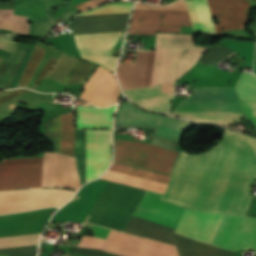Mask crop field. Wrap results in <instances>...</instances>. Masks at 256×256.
I'll list each match as a JSON object with an SVG mask.
<instances>
[{
    "mask_svg": "<svg viewBox=\"0 0 256 256\" xmlns=\"http://www.w3.org/2000/svg\"><path fill=\"white\" fill-rule=\"evenodd\" d=\"M256 179V139L226 129L200 152L182 151L163 201L190 209L246 215ZM246 216L256 217V197Z\"/></svg>",
    "mask_w": 256,
    "mask_h": 256,
    "instance_id": "crop-field-1",
    "label": "crop field"
},
{
    "mask_svg": "<svg viewBox=\"0 0 256 256\" xmlns=\"http://www.w3.org/2000/svg\"><path fill=\"white\" fill-rule=\"evenodd\" d=\"M175 233L231 251L256 250V218L186 209ZM179 256H233L231 251L178 234Z\"/></svg>",
    "mask_w": 256,
    "mask_h": 256,
    "instance_id": "crop-field-2",
    "label": "crop field"
},
{
    "mask_svg": "<svg viewBox=\"0 0 256 256\" xmlns=\"http://www.w3.org/2000/svg\"><path fill=\"white\" fill-rule=\"evenodd\" d=\"M117 124H148L157 126L158 132L180 136L183 131L192 125L188 121L176 118L143 112L134 107L130 102H122L116 116ZM155 132L154 135L176 139L179 137ZM116 141L115 161L126 164L141 166L164 173H170L177 152L148 145L136 141Z\"/></svg>",
    "mask_w": 256,
    "mask_h": 256,
    "instance_id": "crop-field-3",
    "label": "crop field"
},
{
    "mask_svg": "<svg viewBox=\"0 0 256 256\" xmlns=\"http://www.w3.org/2000/svg\"><path fill=\"white\" fill-rule=\"evenodd\" d=\"M128 16L129 14L76 17L74 34L123 31V35ZM120 35L121 32L81 34L75 35V41L83 59L94 61L114 71L117 57L109 55Z\"/></svg>",
    "mask_w": 256,
    "mask_h": 256,
    "instance_id": "crop-field-4",
    "label": "crop field"
},
{
    "mask_svg": "<svg viewBox=\"0 0 256 256\" xmlns=\"http://www.w3.org/2000/svg\"><path fill=\"white\" fill-rule=\"evenodd\" d=\"M162 196L147 190L134 215L176 228L185 209L161 201ZM135 216L132 217L125 232L174 245V228Z\"/></svg>",
    "mask_w": 256,
    "mask_h": 256,
    "instance_id": "crop-field-5",
    "label": "crop field"
},
{
    "mask_svg": "<svg viewBox=\"0 0 256 256\" xmlns=\"http://www.w3.org/2000/svg\"><path fill=\"white\" fill-rule=\"evenodd\" d=\"M182 102L216 103L241 105V99L234 88H195L194 97ZM179 103L172 111L243 113L242 106ZM172 112L196 121L220 125L236 123L242 114Z\"/></svg>",
    "mask_w": 256,
    "mask_h": 256,
    "instance_id": "crop-field-6",
    "label": "crop field"
},
{
    "mask_svg": "<svg viewBox=\"0 0 256 256\" xmlns=\"http://www.w3.org/2000/svg\"><path fill=\"white\" fill-rule=\"evenodd\" d=\"M195 33L221 34L223 30L244 29L250 4L247 0H185Z\"/></svg>",
    "mask_w": 256,
    "mask_h": 256,
    "instance_id": "crop-field-7",
    "label": "crop field"
},
{
    "mask_svg": "<svg viewBox=\"0 0 256 256\" xmlns=\"http://www.w3.org/2000/svg\"><path fill=\"white\" fill-rule=\"evenodd\" d=\"M171 36L168 34H158L152 85L166 82ZM207 49L194 47L192 36L173 35L167 82L176 81L184 75Z\"/></svg>",
    "mask_w": 256,
    "mask_h": 256,
    "instance_id": "crop-field-8",
    "label": "crop field"
},
{
    "mask_svg": "<svg viewBox=\"0 0 256 256\" xmlns=\"http://www.w3.org/2000/svg\"><path fill=\"white\" fill-rule=\"evenodd\" d=\"M144 192V189L111 182L88 223L123 231Z\"/></svg>",
    "mask_w": 256,
    "mask_h": 256,
    "instance_id": "crop-field-9",
    "label": "crop field"
},
{
    "mask_svg": "<svg viewBox=\"0 0 256 256\" xmlns=\"http://www.w3.org/2000/svg\"><path fill=\"white\" fill-rule=\"evenodd\" d=\"M75 154L82 181L86 183V156L87 182L98 178L110 165L111 159V130H76Z\"/></svg>",
    "mask_w": 256,
    "mask_h": 256,
    "instance_id": "crop-field-10",
    "label": "crop field"
},
{
    "mask_svg": "<svg viewBox=\"0 0 256 256\" xmlns=\"http://www.w3.org/2000/svg\"><path fill=\"white\" fill-rule=\"evenodd\" d=\"M76 191L59 189L29 188L0 192V214L45 208L60 207Z\"/></svg>",
    "mask_w": 256,
    "mask_h": 256,
    "instance_id": "crop-field-11",
    "label": "crop field"
},
{
    "mask_svg": "<svg viewBox=\"0 0 256 256\" xmlns=\"http://www.w3.org/2000/svg\"><path fill=\"white\" fill-rule=\"evenodd\" d=\"M101 250L123 256H178L174 246L113 230Z\"/></svg>",
    "mask_w": 256,
    "mask_h": 256,
    "instance_id": "crop-field-12",
    "label": "crop field"
},
{
    "mask_svg": "<svg viewBox=\"0 0 256 256\" xmlns=\"http://www.w3.org/2000/svg\"><path fill=\"white\" fill-rule=\"evenodd\" d=\"M43 158H22L0 163V190L41 187Z\"/></svg>",
    "mask_w": 256,
    "mask_h": 256,
    "instance_id": "crop-field-13",
    "label": "crop field"
},
{
    "mask_svg": "<svg viewBox=\"0 0 256 256\" xmlns=\"http://www.w3.org/2000/svg\"><path fill=\"white\" fill-rule=\"evenodd\" d=\"M132 25L192 26L187 11L134 10ZM130 26L129 34L180 32L181 27Z\"/></svg>",
    "mask_w": 256,
    "mask_h": 256,
    "instance_id": "crop-field-14",
    "label": "crop field"
},
{
    "mask_svg": "<svg viewBox=\"0 0 256 256\" xmlns=\"http://www.w3.org/2000/svg\"><path fill=\"white\" fill-rule=\"evenodd\" d=\"M154 53L137 51L134 63H119L117 76L124 89L151 85Z\"/></svg>",
    "mask_w": 256,
    "mask_h": 256,
    "instance_id": "crop-field-15",
    "label": "crop field"
},
{
    "mask_svg": "<svg viewBox=\"0 0 256 256\" xmlns=\"http://www.w3.org/2000/svg\"><path fill=\"white\" fill-rule=\"evenodd\" d=\"M62 153L74 156L73 111L60 115ZM59 115L45 123V136L57 152L61 153Z\"/></svg>",
    "mask_w": 256,
    "mask_h": 256,
    "instance_id": "crop-field-16",
    "label": "crop field"
},
{
    "mask_svg": "<svg viewBox=\"0 0 256 256\" xmlns=\"http://www.w3.org/2000/svg\"><path fill=\"white\" fill-rule=\"evenodd\" d=\"M175 82L163 83L156 86H149L129 90L137 100L174 91ZM127 90H123L126 97L136 102L145 109L156 111H167L173 92L136 101L135 97Z\"/></svg>",
    "mask_w": 256,
    "mask_h": 256,
    "instance_id": "crop-field-17",
    "label": "crop field"
},
{
    "mask_svg": "<svg viewBox=\"0 0 256 256\" xmlns=\"http://www.w3.org/2000/svg\"><path fill=\"white\" fill-rule=\"evenodd\" d=\"M115 106L109 108L78 107L77 128H111Z\"/></svg>",
    "mask_w": 256,
    "mask_h": 256,
    "instance_id": "crop-field-18",
    "label": "crop field"
},
{
    "mask_svg": "<svg viewBox=\"0 0 256 256\" xmlns=\"http://www.w3.org/2000/svg\"><path fill=\"white\" fill-rule=\"evenodd\" d=\"M235 89L242 98L246 116L256 129V76L243 72Z\"/></svg>",
    "mask_w": 256,
    "mask_h": 256,
    "instance_id": "crop-field-19",
    "label": "crop field"
},
{
    "mask_svg": "<svg viewBox=\"0 0 256 256\" xmlns=\"http://www.w3.org/2000/svg\"><path fill=\"white\" fill-rule=\"evenodd\" d=\"M59 162V153H45L43 187L58 186Z\"/></svg>",
    "mask_w": 256,
    "mask_h": 256,
    "instance_id": "crop-field-20",
    "label": "crop field"
},
{
    "mask_svg": "<svg viewBox=\"0 0 256 256\" xmlns=\"http://www.w3.org/2000/svg\"><path fill=\"white\" fill-rule=\"evenodd\" d=\"M220 43L222 45H224L225 47L229 48L230 50L234 51L235 53L243 56L245 59L246 65L252 67L253 52H254V45H255L254 43L233 41V40H229V39H224ZM235 53H231L229 56H231ZM229 56H227V57H229Z\"/></svg>",
    "mask_w": 256,
    "mask_h": 256,
    "instance_id": "crop-field-21",
    "label": "crop field"
},
{
    "mask_svg": "<svg viewBox=\"0 0 256 256\" xmlns=\"http://www.w3.org/2000/svg\"><path fill=\"white\" fill-rule=\"evenodd\" d=\"M110 170L130 174V175H134V176H138V177H142V178H146V179H150V180H154V181H158L166 184L168 183V180L170 178L169 176L141 170L138 168H134V167H130V166L114 163V162L112 163Z\"/></svg>",
    "mask_w": 256,
    "mask_h": 256,
    "instance_id": "crop-field-22",
    "label": "crop field"
},
{
    "mask_svg": "<svg viewBox=\"0 0 256 256\" xmlns=\"http://www.w3.org/2000/svg\"><path fill=\"white\" fill-rule=\"evenodd\" d=\"M96 65L79 60L75 67L64 79L63 83L69 85L75 82H85L91 72L95 69Z\"/></svg>",
    "mask_w": 256,
    "mask_h": 256,
    "instance_id": "crop-field-23",
    "label": "crop field"
},
{
    "mask_svg": "<svg viewBox=\"0 0 256 256\" xmlns=\"http://www.w3.org/2000/svg\"><path fill=\"white\" fill-rule=\"evenodd\" d=\"M39 234L0 238V249L38 244Z\"/></svg>",
    "mask_w": 256,
    "mask_h": 256,
    "instance_id": "crop-field-24",
    "label": "crop field"
},
{
    "mask_svg": "<svg viewBox=\"0 0 256 256\" xmlns=\"http://www.w3.org/2000/svg\"><path fill=\"white\" fill-rule=\"evenodd\" d=\"M45 51L35 46L18 85H27Z\"/></svg>",
    "mask_w": 256,
    "mask_h": 256,
    "instance_id": "crop-field-25",
    "label": "crop field"
},
{
    "mask_svg": "<svg viewBox=\"0 0 256 256\" xmlns=\"http://www.w3.org/2000/svg\"><path fill=\"white\" fill-rule=\"evenodd\" d=\"M133 3L124 4H106L91 11L81 12L78 15H92V14H111V13H129ZM77 15V16H78Z\"/></svg>",
    "mask_w": 256,
    "mask_h": 256,
    "instance_id": "crop-field-26",
    "label": "crop field"
},
{
    "mask_svg": "<svg viewBox=\"0 0 256 256\" xmlns=\"http://www.w3.org/2000/svg\"><path fill=\"white\" fill-rule=\"evenodd\" d=\"M37 247L38 245L3 249L0 250V256H36Z\"/></svg>",
    "mask_w": 256,
    "mask_h": 256,
    "instance_id": "crop-field-27",
    "label": "crop field"
},
{
    "mask_svg": "<svg viewBox=\"0 0 256 256\" xmlns=\"http://www.w3.org/2000/svg\"><path fill=\"white\" fill-rule=\"evenodd\" d=\"M135 9H172V10H187L185 1L180 0L168 6H151L147 4L137 3Z\"/></svg>",
    "mask_w": 256,
    "mask_h": 256,
    "instance_id": "crop-field-28",
    "label": "crop field"
},
{
    "mask_svg": "<svg viewBox=\"0 0 256 256\" xmlns=\"http://www.w3.org/2000/svg\"><path fill=\"white\" fill-rule=\"evenodd\" d=\"M25 16L14 15V29L13 32L28 34L29 24L26 23Z\"/></svg>",
    "mask_w": 256,
    "mask_h": 256,
    "instance_id": "crop-field-29",
    "label": "crop field"
},
{
    "mask_svg": "<svg viewBox=\"0 0 256 256\" xmlns=\"http://www.w3.org/2000/svg\"><path fill=\"white\" fill-rule=\"evenodd\" d=\"M72 253L92 255V256H104V254H105V252H103V251L94 250V249H86V248H78V247H74Z\"/></svg>",
    "mask_w": 256,
    "mask_h": 256,
    "instance_id": "crop-field-30",
    "label": "crop field"
},
{
    "mask_svg": "<svg viewBox=\"0 0 256 256\" xmlns=\"http://www.w3.org/2000/svg\"><path fill=\"white\" fill-rule=\"evenodd\" d=\"M16 45H17V42H13V41H10L3 37H0V48L1 49H4L6 51L13 53Z\"/></svg>",
    "mask_w": 256,
    "mask_h": 256,
    "instance_id": "crop-field-31",
    "label": "crop field"
},
{
    "mask_svg": "<svg viewBox=\"0 0 256 256\" xmlns=\"http://www.w3.org/2000/svg\"><path fill=\"white\" fill-rule=\"evenodd\" d=\"M107 1H110V0H89V1H86V2H83L81 4L76 5V7L78 9H80L81 11H83L85 9L95 7L99 4L107 2Z\"/></svg>",
    "mask_w": 256,
    "mask_h": 256,
    "instance_id": "crop-field-32",
    "label": "crop field"
},
{
    "mask_svg": "<svg viewBox=\"0 0 256 256\" xmlns=\"http://www.w3.org/2000/svg\"><path fill=\"white\" fill-rule=\"evenodd\" d=\"M109 232H110V229L94 226L93 236L106 239Z\"/></svg>",
    "mask_w": 256,
    "mask_h": 256,
    "instance_id": "crop-field-33",
    "label": "crop field"
},
{
    "mask_svg": "<svg viewBox=\"0 0 256 256\" xmlns=\"http://www.w3.org/2000/svg\"><path fill=\"white\" fill-rule=\"evenodd\" d=\"M55 62V59L51 58L49 59V61L47 62V64L44 66V68L42 69V71L40 72L35 85H38V83L40 82V80L43 78V76L47 73V71L52 67L53 63Z\"/></svg>",
    "mask_w": 256,
    "mask_h": 256,
    "instance_id": "crop-field-34",
    "label": "crop field"
},
{
    "mask_svg": "<svg viewBox=\"0 0 256 256\" xmlns=\"http://www.w3.org/2000/svg\"><path fill=\"white\" fill-rule=\"evenodd\" d=\"M27 90L28 89H20V90L14 92V93H12L8 96L5 95L6 97H3V98L0 99V104L9 100V99H11V98H13V97H15V96H17V95H19V94H21V93H23V92H25V91H27Z\"/></svg>",
    "mask_w": 256,
    "mask_h": 256,
    "instance_id": "crop-field-35",
    "label": "crop field"
},
{
    "mask_svg": "<svg viewBox=\"0 0 256 256\" xmlns=\"http://www.w3.org/2000/svg\"><path fill=\"white\" fill-rule=\"evenodd\" d=\"M251 30H252V31L254 32V34L256 35V21H255L253 27L251 28Z\"/></svg>",
    "mask_w": 256,
    "mask_h": 256,
    "instance_id": "crop-field-36",
    "label": "crop field"
},
{
    "mask_svg": "<svg viewBox=\"0 0 256 256\" xmlns=\"http://www.w3.org/2000/svg\"><path fill=\"white\" fill-rule=\"evenodd\" d=\"M105 256H118V255H114V254H111V253H107V252H106Z\"/></svg>",
    "mask_w": 256,
    "mask_h": 256,
    "instance_id": "crop-field-37",
    "label": "crop field"
},
{
    "mask_svg": "<svg viewBox=\"0 0 256 256\" xmlns=\"http://www.w3.org/2000/svg\"><path fill=\"white\" fill-rule=\"evenodd\" d=\"M254 74H256V56H255Z\"/></svg>",
    "mask_w": 256,
    "mask_h": 256,
    "instance_id": "crop-field-38",
    "label": "crop field"
},
{
    "mask_svg": "<svg viewBox=\"0 0 256 256\" xmlns=\"http://www.w3.org/2000/svg\"><path fill=\"white\" fill-rule=\"evenodd\" d=\"M254 4H256V0H251Z\"/></svg>",
    "mask_w": 256,
    "mask_h": 256,
    "instance_id": "crop-field-39",
    "label": "crop field"
}]
</instances>
